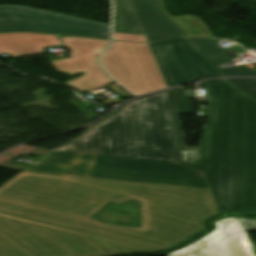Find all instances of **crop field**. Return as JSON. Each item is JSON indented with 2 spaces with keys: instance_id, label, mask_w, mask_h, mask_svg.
Wrapping results in <instances>:
<instances>
[{
  "instance_id": "crop-field-9",
  "label": "crop field",
  "mask_w": 256,
  "mask_h": 256,
  "mask_svg": "<svg viewBox=\"0 0 256 256\" xmlns=\"http://www.w3.org/2000/svg\"><path fill=\"white\" fill-rule=\"evenodd\" d=\"M216 228L209 235L167 256H252L244 228L236 217L214 222Z\"/></svg>"
},
{
  "instance_id": "crop-field-6",
  "label": "crop field",
  "mask_w": 256,
  "mask_h": 256,
  "mask_svg": "<svg viewBox=\"0 0 256 256\" xmlns=\"http://www.w3.org/2000/svg\"><path fill=\"white\" fill-rule=\"evenodd\" d=\"M65 45L71 50V58L54 60L57 71L73 76L100 66L97 56L107 49L110 41L57 36L14 33L0 34V54L7 53L13 57L43 53L44 47Z\"/></svg>"
},
{
  "instance_id": "crop-field-17",
  "label": "crop field",
  "mask_w": 256,
  "mask_h": 256,
  "mask_svg": "<svg viewBox=\"0 0 256 256\" xmlns=\"http://www.w3.org/2000/svg\"><path fill=\"white\" fill-rule=\"evenodd\" d=\"M110 90L113 91L116 94L121 93V94L125 95L127 98L131 97V95L129 93H127L124 89H122L120 87V85L117 84V83L114 84L113 86H111Z\"/></svg>"
},
{
  "instance_id": "crop-field-11",
  "label": "crop field",
  "mask_w": 256,
  "mask_h": 256,
  "mask_svg": "<svg viewBox=\"0 0 256 256\" xmlns=\"http://www.w3.org/2000/svg\"><path fill=\"white\" fill-rule=\"evenodd\" d=\"M187 39L223 76H256V71H252L250 67L247 66L227 67L220 69L218 65L229 63V57L213 39Z\"/></svg>"
},
{
  "instance_id": "crop-field-18",
  "label": "crop field",
  "mask_w": 256,
  "mask_h": 256,
  "mask_svg": "<svg viewBox=\"0 0 256 256\" xmlns=\"http://www.w3.org/2000/svg\"><path fill=\"white\" fill-rule=\"evenodd\" d=\"M129 199H135V200H137V196H129V195H121V196H119L118 198H116L114 201H112V202H114V203H122V202H124V201H126V200H129Z\"/></svg>"
},
{
  "instance_id": "crop-field-5",
  "label": "crop field",
  "mask_w": 256,
  "mask_h": 256,
  "mask_svg": "<svg viewBox=\"0 0 256 256\" xmlns=\"http://www.w3.org/2000/svg\"><path fill=\"white\" fill-rule=\"evenodd\" d=\"M110 50L100 60L109 74L136 96L168 88L145 36L113 33Z\"/></svg>"
},
{
  "instance_id": "crop-field-14",
  "label": "crop field",
  "mask_w": 256,
  "mask_h": 256,
  "mask_svg": "<svg viewBox=\"0 0 256 256\" xmlns=\"http://www.w3.org/2000/svg\"><path fill=\"white\" fill-rule=\"evenodd\" d=\"M236 89L256 101V79H224Z\"/></svg>"
},
{
  "instance_id": "crop-field-10",
  "label": "crop field",
  "mask_w": 256,
  "mask_h": 256,
  "mask_svg": "<svg viewBox=\"0 0 256 256\" xmlns=\"http://www.w3.org/2000/svg\"><path fill=\"white\" fill-rule=\"evenodd\" d=\"M149 43L184 37L157 10L150 0H131Z\"/></svg>"
},
{
  "instance_id": "crop-field-19",
  "label": "crop field",
  "mask_w": 256,
  "mask_h": 256,
  "mask_svg": "<svg viewBox=\"0 0 256 256\" xmlns=\"http://www.w3.org/2000/svg\"><path fill=\"white\" fill-rule=\"evenodd\" d=\"M244 235H245V237H246V239H247V242H248V244H249V247H250V249H251V251H252L253 256H256V250H255L254 246L252 245V243H251V241L249 240V238H248V236L246 235V233H245Z\"/></svg>"
},
{
  "instance_id": "crop-field-4",
  "label": "crop field",
  "mask_w": 256,
  "mask_h": 256,
  "mask_svg": "<svg viewBox=\"0 0 256 256\" xmlns=\"http://www.w3.org/2000/svg\"><path fill=\"white\" fill-rule=\"evenodd\" d=\"M26 170L209 189L201 171L171 163L49 152Z\"/></svg>"
},
{
  "instance_id": "crop-field-8",
  "label": "crop field",
  "mask_w": 256,
  "mask_h": 256,
  "mask_svg": "<svg viewBox=\"0 0 256 256\" xmlns=\"http://www.w3.org/2000/svg\"><path fill=\"white\" fill-rule=\"evenodd\" d=\"M168 87L222 76L186 39L149 44Z\"/></svg>"
},
{
  "instance_id": "crop-field-7",
  "label": "crop field",
  "mask_w": 256,
  "mask_h": 256,
  "mask_svg": "<svg viewBox=\"0 0 256 256\" xmlns=\"http://www.w3.org/2000/svg\"><path fill=\"white\" fill-rule=\"evenodd\" d=\"M26 31L110 39V26L26 6H0V32Z\"/></svg>"
},
{
  "instance_id": "crop-field-2",
  "label": "crop field",
  "mask_w": 256,
  "mask_h": 256,
  "mask_svg": "<svg viewBox=\"0 0 256 256\" xmlns=\"http://www.w3.org/2000/svg\"><path fill=\"white\" fill-rule=\"evenodd\" d=\"M210 98L199 149L184 148L181 113H193L183 88L167 91L176 160L204 171L221 214L256 212V102L221 80L200 83Z\"/></svg>"
},
{
  "instance_id": "crop-field-13",
  "label": "crop field",
  "mask_w": 256,
  "mask_h": 256,
  "mask_svg": "<svg viewBox=\"0 0 256 256\" xmlns=\"http://www.w3.org/2000/svg\"><path fill=\"white\" fill-rule=\"evenodd\" d=\"M72 81H74V83H72ZM72 81L66 82L67 86L79 92H88L114 83V81L104 72L101 66L85 72L83 77Z\"/></svg>"
},
{
  "instance_id": "crop-field-12",
  "label": "crop field",
  "mask_w": 256,
  "mask_h": 256,
  "mask_svg": "<svg viewBox=\"0 0 256 256\" xmlns=\"http://www.w3.org/2000/svg\"><path fill=\"white\" fill-rule=\"evenodd\" d=\"M113 32L145 35L129 0H114Z\"/></svg>"
},
{
  "instance_id": "crop-field-1",
  "label": "crop field",
  "mask_w": 256,
  "mask_h": 256,
  "mask_svg": "<svg viewBox=\"0 0 256 256\" xmlns=\"http://www.w3.org/2000/svg\"><path fill=\"white\" fill-rule=\"evenodd\" d=\"M138 195L141 228L91 219ZM218 215L209 190L23 171L0 187V256H120L159 252Z\"/></svg>"
},
{
  "instance_id": "crop-field-16",
  "label": "crop field",
  "mask_w": 256,
  "mask_h": 256,
  "mask_svg": "<svg viewBox=\"0 0 256 256\" xmlns=\"http://www.w3.org/2000/svg\"><path fill=\"white\" fill-rule=\"evenodd\" d=\"M246 231H256V220L237 218Z\"/></svg>"
},
{
  "instance_id": "crop-field-15",
  "label": "crop field",
  "mask_w": 256,
  "mask_h": 256,
  "mask_svg": "<svg viewBox=\"0 0 256 256\" xmlns=\"http://www.w3.org/2000/svg\"><path fill=\"white\" fill-rule=\"evenodd\" d=\"M152 6L157 9L171 24H173L184 36L187 34L176 24L174 23L161 9V2L160 0H151Z\"/></svg>"
},
{
  "instance_id": "crop-field-3",
  "label": "crop field",
  "mask_w": 256,
  "mask_h": 256,
  "mask_svg": "<svg viewBox=\"0 0 256 256\" xmlns=\"http://www.w3.org/2000/svg\"><path fill=\"white\" fill-rule=\"evenodd\" d=\"M53 151L176 163L166 92L125 104Z\"/></svg>"
}]
</instances>
